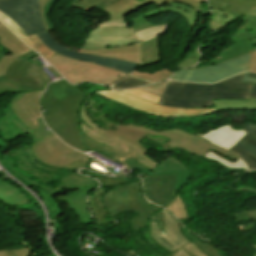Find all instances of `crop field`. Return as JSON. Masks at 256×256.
I'll list each match as a JSON object with an SVG mask.
<instances>
[{"label":"crop field","instance_id":"obj_1","mask_svg":"<svg viewBox=\"0 0 256 256\" xmlns=\"http://www.w3.org/2000/svg\"><path fill=\"white\" fill-rule=\"evenodd\" d=\"M85 94L65 80L48 85L41 99L48 127L68 145L85 152L78 128L77 111Z\"/></svg>","mask_w":256,"mask_h":256},{"label":"crop field","instance_id":"obj_2","mask_svg":"<svg viewBox=\"0 0 256 256\" xmlns=\"http://www.w3.org/2000/svg\"><path fill=\"white\" fill-rule=\"evenodd\" d=\"M95 100L87 97L81 111H80V118L84 121V123L92 128L94 131L99 132L101 134H104L106 136L112 137L114 139H117L119 141H122L135 149L145 153L149 149L142 146L138 142H140L145 136L146 133H149L150 135H162L164 137H167L171 140V142H168L166 145H163L164 148L173 151L172 149L174 147L182 148L192 154L203 156L206 154V152L209 149L215 150L221 154H224L228 156L231 159L237 160L238 157L234 154L230 153L229 151H226L224 149H221L201 138L198 136H194L190 133L178 130V129H172L167 130L163 132H157L154 130L146 129L144 126H136V125H118L116 128L118 130L116 131H109V130H103L102 128L99 129L87 116V113L85 112L84 107H90L92 104H95ZM92 111L96 112L92 106ZM108 125V124H107ZM111 126V125H108ZM108 128V127H107ZM147 137V136H146ZM149 138V137H148ZM152 139V138H151ZM157 141H165L162 139H155ZM161 145V144H160Z\"/></svg>","mask_w":256,"mask_h":256},{"label":"crop field","instance_id":"obj_3","mask_svg":"<svg viewBox=\"0 0 256 256\" xmlns=\"http://www.w3.org/2000/svg\"><path fill=\"white\" fill-rule=\"evenodd\" d=\"M168 0H106L96 8L109 13V20L91 30L81 49H103L136 44L130 23L124 17L152 4L166 5Z\"/></svg>","mask_w":256,"mask_h":256},{"label":"crop field","instance_id":"obj_4","mask_svg":"<svg viewBox=\"0 0 256 256\" xmlns=\"http://www.w3.org/2000/svg\"><path fill=\"white\" fill-rule=\"evenodd\" d=\"M8 166L11 168L13 172H15L13 168V164L11 161H7ZM74 171V169H73ZM17 172V171H16ZM24 180H26L31 187L40 194L42 199L45 201L49 212L50 219L55 218V216H60L63 213L61 206L59 203L52 197L54 195L66 193L64 189L68 190H76L75 194L67 195L63 197L57 198L61 202H67L68 207L70 209H74L76 214L78 215L81 222L86 224L92 223L89 211L86 206V196L91 193L95 188L99 186L98 182L94 179L86 177L84 175H77L74 172L66 174L62 179V186H58L57 189H53V186L44 187L38 182L22 175L17 172Z\"/></svg>","mask_w":256,"mask_h":256},{"label":"crop field","instance_id":"obj_5","mask_svg":"<svg viewBox=\"0 0 256 256\" xmlns=\"http://www.w3.org/2000/svg\"><path fill=\"white\" fill-rule=\"evenodd\" d=\"M253 85L238 83L215 89H184L168 87L159 105L195 108L214 106L213 99L248 100Z\"/></svg>","mask_w":256,"mask_h":256},{"label":"crop field","instance_id":"obj_6","mask_svg":"<svg viewBox=\"0 0 256 256\" xmlns=\"http://www.w3.org/2000/svg\"><path fill=\"white\" fill-rule=\"evenodd\" d=\"M102 201L112 218L129 210L138 212L139 215L130 219L132 228L137 230L148 224L152 215L161 211L158 207L145 200L140 190L139 181L116 187L113 191L109 190Z\"/></svg>","mask_w":256,"mask_h":256},{"label":"crop field","instance_id":"obj_7","mask_svg":"<svg viewBox=\"0 0 256 256\" xmlns=\"http://www.w3.org/2000/svg\"><path fill=\"white\" fill-rule=\"evenodd\" d=\"M47 61L72 84L96 82L108 86L113 81L127 75L105 67L65 58L58 54L48 58Z\"/></svg>","mask_w":256,"mask_h":256},{"label":"crop field","instance_id":"obj_8","mask_svg":"<svg viewBox=\"0 0 256 256\" xmlns=\"http://www.w3.org/2000/svg\"><path fill=\"white\" fill-rule=\"evenodd\" d=\"M31 148L35 157L53 167L80 168L88 160L87 155L67 147L52 132Z\"/></svg>","mask_w":256,"mask_h":256},{"label":"crop field","instance_id":"obj_9","mask_svg":"<svg viewBox=\"0 0 256 256\" xmlns=\"http://www.w3.org/2000/svg\"><path fill=\"white\" fill-rule=\"evenodd\" d=\"M250 58L248 53L211 67L178 70L170 80L216 83L246 71Z\"/></svg>","mask_w":256,"mask_h":256},{"label":"crop field","instance_id":"obj_10","mask_svg":"<svg viewBox=\"0 0 256 256\" xmlns=\"http://www.w3.org/2000/svg\"><path fill=\"white\" fill-rule=\"evenodd\" d=\"M149 225L152 239L171 252L191 242L182 234L176 219L166 210L152 216Z\"/></svg>","mask_w":256,"mask_h":256},{"label":"crop field","instance_id":"obj_11","mask_svg":"<svg viewBox=\"0 0 256 256\" xmlns=\"http://www.w3.org/2000/svg\"><path fill=\"white\" fill-rule=\"evenodd\" d=\"M0 11L15 20L26 35L44 32L39 0H3Z\"/></svg>","mask_w":256,"mask_h":256},{"label":"crop field","instance_id":"obj_12","mask_svg":"<svg viewBox=\"0 0 256 256\" xmlns=\"http://www.w3.org/2000/svg\"><path fill=\"white\" fill-rule=\"evenodd\" d=\"M97 94H100L108 99L115 100L121 104L144 111L147 114L159 117H188L215 112V109H183L158 106L120 91L103 92Z\"/></svg>","mask_w":256,"mask_h":256},{"label":"crop field","instance_id":"obj_13","mask_svg":"<svg viewBox=\"0 0 256 256\" xmlns=\"http://www.w3.org/2000/svg\"><path fill=\"white\" fill-rule=\"evenodd\" d=\"M38 36L50 50L65 57L105 66V67L118 70L127 74H130L131 72H133L136 69V67L139 65L136 63H131L123 60L99 58L91 55L76 53L56 43L49 32L38 34Z\"/></svg>","mask_w":256,"mask_h":256},{"label":"crop field","instance_id":"obj_14","mask_svg":"<svg viewBox=\"0 0 256 256\" xmlns=\"http://www.w3.org/2000/svg\"><path fill=\"white\" fill-rule=\"evenodd\" d=\"M5 76L28 87H45L46 83L51 82L47 73L20 57L10 64Z\"/></svg>","mask_w":256,"mask_h":256},{"label":"crop field","instance_id":"obj_15","mask_svg":"<svg viewBox=\"0 0 256 256\" xmlns=\"http://www.w3.org/2000/svg\"><path fill=\"white\" fill-rule=\"evenodd\" d=\"M173 1L185 3L198 11L200 4L205 0H169L168 5L160 7L158 11L146 14L138 18L136 21H133L131 25L135 32L138 43L150 40L156 36L166 33L170 23L154 27V25H152L145 18L171 11Z\"/></svg>","mask_w":256,"mask_h":256},{"label":"crop field","instance_id":"obj_16","mask_svg":"<svg viewBox=\"0 0 256 256\" xmlns=\"http://www.w3.org/2000/svg\"><path fill=\"white\" fill-rule=\"evenodd\" d=\"M3 111L6 113L7 116L0 118V131H3L4 133V137H0V145L3 142L16 139V137H19L27 132L30 133L31 137L35 141L46 137L51 132L45 131L44 128L46 127L42 119L37 120V128L33 131H30L18 120V118L13 114V112L9 108L4 109Z\"/></svg>","mask_w":256,"mask_h":256},{"label":"crop field","instance_id":"obj_17","mask_svg":"<svg viewBox=\"0 0 256 256\" xmlns=\"http://www.w3.org/2000/svg\"><path fill=\"white\" fill-rule=\"evenodd\" d=\"M10 156L16 157L19 162H16L17 168L23 169L25 172L37 177L47 183L55 174L58 168H46L40 166L43 164L36 159L31 152L30 147H20L9 152Z\"/></svg>","mask_w":256,"mask_h":256},{"label":"crop field","instance_id":"obj_18","mask_svg":"<svg viewBox=\"0 0 256 256\" xmlns=\"http://www.w3.org/2000/svg\"><path fill=\"white\" fill-rule=\"evenodd\" d=\"M80 124H81L82 134H84L85 136L129 156L130 158L145 165L150 170L159 164V163L155 162L154 160L150 159L147 155L138 152L137 150L133 149L132 147H130L122 142H119L117 140L111 139L109 137H106L104 135L94 132L93 130L89 129L82 122L81 119H80Z\"/></svg>","mask_w":256,"mask_h":256},{"label":"crop field","instance_id":"obj_19","mask_svg":"<svg viewBox=\"0 0 256 256\" xmlns=\"http://www.w3.org/2000/svg\"><path fill=\"white\" fill-rule=\"evenodd\" d=\"M175 180L176 175L157 178L153 176L144 179L147 198L165 207L176 195L174 190Z\"/></svg>","mask_w":256,"mask_h":256},{"label":"crop field","instance_id":"obj_20","mask_svg":"<svg viewBox=\"0 0 256 256\" xmlns=\"http://www.w3.org/2000/svg\"><path fill=\"white\" fill-rule=\"evenodd\" d=\"M0 43L5 46L12 55L5 56L0 60V76L5 74L9 64L18 56L31 51L16 36H14L3 24L0 23Z\"/></svg>","mask_w":256,"mask_h":256},{"label":"crop field","instance_id":"obj_21","mask_svg":"<svg viewBox=\"0 0 256 256\" xmlns=\"http://www.w3.org/2000/svg\"><path fill=\"white\" fill-rule=\"evenodd\" d=\"M246 132L244 130L232 129L231 125H224L216 130H210L206 134H197L201 138L218 145L222 148L229 149L234 145Z\"/></svg>","mask_w":256,"mask_h":256},{"label":"crop field","instance_id":"obj_22","mask_svg":"<svg viewBox=\"0 0 256 256\" xmlns=\"http://www.w3.org/2000/svg\"><path fill=\"white\" fill-rule=\"evenodd\" d=\"M79 52L100 57L124 59L137 63H140L141 60V48L139 44L103 50H80Z\"/></svg>","mask_w":256,"mask_h":256},{"label":"crop field","instance_id":"obj_23","mask_svg":"<svg viewBox=\"0 0 256 256\" xmlns=\"http://www.w3.org/2000/svg\"><path fill=\"white\" fill-rule=\"evenodd\" d=\"M229 150L240 156L249 169H256V139L249 134H245Z\"/></svg>","mask_w":256,"mask_h":256},{"label":"crop field","instance_id":"obj_24","mask_svg":"<svg viewBox=\"0 0 256 256\" xmlns=\"http://www.w3.org/2000/svg\"><path fill=\"white\" fill-rule=\"evenodd\" d=\"M0 200L8 206H19L28 204L27 196L19 189L4 181H0Z\"/></svg>","mask_w":256,"mask_h":256},{"label":"crop field","instance_id":"obj_25","mask_svg":"<svg viewBox=\"0 0 256 256\" xmlns=\"http://www.w3.org/2000/svg\"><path fill=\"white\" fill-rule=\"evenodd\" d=\"M41 93L42 91L30 92L17 102V105L19 106L21 112L29 120L36 121V119L40 118L41 116L38 105Z\"/></svg>","mask_w":256,"mask_h":256},{"label":"crop field","instance_id":"obj_26","mask_svg":"<svg viewBox=\"0 0 256 256\" xmlns=\"http://www.w3.org/2000/svg\"><path fill=\"white\" fill-rule=\"evenodd\" d=\"M140 46L142 48L141 67L155 65L160 62L158 37L140 43Z\"/></svg>","mask_w":256,"mask_h":256},{"label":"crop field","instance_id":"obj_27","mask_svg":"<svg viewBox=\"0 0 256 256\" xmlns=\"http://www.w3.org/2000/svg\"><path fill=\"white\" fill-rule=\"evenodd\" d=\"M252 47H253V40H247L241 43H237L232 47H230V49L224 50L220 54V56L214 59L213 61H211L208 66H211L212 64L220 63L222 61L228 60L230 58H233L235 56H238L247 52H252ZM201 67H205V65Z\"/></svg>","mask_w":256,"mask_h":256},{"label":"crop field","instance_id":"obj_28","mask_svg":"<svg viewBox=\"0 0 256 256\" xmlns=\"http://www.w3.org/2000/svg\"><path fill=\"white\" fill-rule=\"evenodd\" d=\"M216 111L223 110H256V99L242 100H214Z\"/></svg>","mask_w":256,"mask_h":256},{"label":"crop field","instance_id":"obj_29","mask_svg":"<svg viewBox=\"0 0 256 256\" xmlns=\"http://www.w3.org/2000/svg\"><path fill=\"white\" fill-rule=\"evenodd\" d=\"M210 7L217 8L223 11L230 12L241 19H245L246 16L249 15L251 10L253 9L252 7H247V6H242V5H237L221 0H208Z\"/></svg>","mask_w":256,"mask_h":256},{"label":"crop field","instance_id":"obj_30","mask_svg":"<svg viewBox=\"0 0 256 256\" xmlns=\"http://www.w3.org/2000/svg\"><path fill=\"white\" fill-rule=\"evenodd\" d=\"M165 163L170 165L178 172L177 181L175 185L176 193H178L183 185L188 184L189 169L183 163L171 158L170 156L167 159H165L160 165H158V167Z\"/></svg>","mask_w":256,"mask_h":256},{"label":"crop field","instance_id":"obj_31","mask_svg":"<svg viewBox=\"0 0 256 256\" xmlns=\"http://www.w3.org/2000/svg\"><path fill=\"white\" fill-rule=\"evenodd\" d=\"M247 19H249L248 23L243 25L241 28H239L235 36L232 37L235 43L241 42L247 39H254V37H256V17L248 16L245 20Z\"/></svg>","mask_w":256,"mask_h":256},{"label":"crop field","instance_id":"obj_32","mask_svg":"<svg viewBox=\"0 0 256 256\" xmlns=\"http://www.w3.org/2000/svg\"><path fill=\"white\" fill-rule=\"evenodd\" d=\"M82 137L84 139V144L87 149H97L101 152H104L106 157L113 159L115 161L123 162L127 158V156L122 155V154H120L108 147H105L99 143H96V142L90 140L89 138L85 137L84 135H82Z\"/></svg>","mask_w":256,"mask_h":256},{"label":"crop field","instance_id":"obj_33","mask_svg":"<svg viewBox=\"0 0 256 256\" xmlns=\"http://www.w3.org/2000/svg\"><path fill=\"white\" fill-rule=\"evenodd\" d=\"M242 75H238L234 78H231L229 80L223 81L218 84H195V83H185V82H175L171 81L169 86H174V87H185V88H215L219 86H224V85H229L233 83H238L241 82Z\"/></svg>","mask_w":256,"mask_h":256},{"label":"crop field","instance_id":"obj_34","mask_svg":"<svg viewBox=\"0 0 256 256\" xmlns=\"http://www.w3.org/2000/svg\"><path fill=\"white\" fill-rule=\"evenodd\" d=\"M181 228L184 235L209 256H225L211 245L203 243L200 238L196 237L191 232L187 231L184 227L181 226Z\"/></svg>","mask_w":256,"mask_h":256},{"label":"crop field","instance_id":"obj_35","mask_svg":"<svg viewBox=\"0 0 256 256\" xmlns=\"http://www.w3.org/2000/svg\"><path fill=\"white\" fill-rule=\"evenodd\" d=\"M45 88H28L8 81L4 76L0 77L1 92H30L44 90Z\"/></svg>","mask_w":256,"mask_h":256},{"label":"crop field","instance_id":"obj_36","mask_svg":"<svg viewBox=\"0 0 256 256\" xmlns=\"http://www.w3.org/2000/svg\"><path fill=\"white\" fill-rule=\"evenodd\" d=\"M172 11L183 15L188 21L190 26L194 25L197 19V16L199 14L197 11H195L191 7L185 4L177 3V2H174Z\"/></svg>","mask_w":256,"mask_h":256},{"label":"crop field","instance_id":"obj_37","mask_svg":"<svg viewBox=\"0 0 256 256\" xmlns=\"http://www.w3.org/2000/svg\"><path fill=\"white\" fill-rule=\"evenodd\" d=\"M0 21L4 23L9 29H11L27 45H29L31 48H33L36 51L32 43L30 42V40L27 38V36L24 34V32L21 30V28L18 26L16 22H14L12 19H10L8 16L4 15L1 12H0Z\"/></svg>","mask_w":256,"mask_h":256},{"label":"crop field","instance_id":"obj_38","mask_svg":"<svg viewBox=\"0 0 256 256\" xmlns=\"http://www.w3.org/2000/svg\"><path fill=\"white\" fill-rule=\"evenodd\" d=\"M55 1L56 0H40V11L46 31H51L55 29L53 23L48 16Z\"/></svg>","mask_w":256,"mask_h":256},{"label":"crop field","instance_id":"obj_39","mask_svg":"<svg viewBox=\"0 0 256 256\" xmlns=\"http://www.w3.org/2000/svg\"><path fill=\"white\" fill-rule=\"evenodd\" d=\"M145 84H150V83L128 75V76L112 83L111 85H109V87L114 90H119V89H124V88L139 86V85H145Z\"/></svg>","mask_w":256,"mask_h":256},{"label":"crop field","instance_id":"obj_40","mask_svg":"<svg viewBox=\"0 0 256 256\" xmlns=\"http://www.w3.org/2000/svg\"><path fill=\"white\" fill-rule=\"evenodd\" d=\"M205 157L211 158V159L217 161L218 163H220L221 165L225 166L228 169H243V168H245L246 170H248L247 166L240 158L235 163H232V162H229V161L223 159L222 156H220L214 152H210V151H208V153L206 154Z\"/></svg>","mask_w":256,"mask_h":256},{"label":"crop field","instance_id":"obj_41","mask_svg":"<svg viewBox=\"0 0 256 256\" xmlns=\"http://www.w3.org/2000/svg\"><path fill=\"white\" fill-rule=\"evenodd\" d=\"M172 213H174L179 219L188 218L185 206L178 194L169 202L166 206Z\"/></svg>","mask_w":256,"mask_h":256},{"label":"crop field","instance_id":"obj_42","mask_svg":"<svg viewBox=\"0 0 256 256\" xmlns=\"http://www.w3.org/2000/svg\"><path fill=\"white\" fill-rule=\"evenodd\" d=\"M27 93H20L18 94L17 96H15L13 98V100L11 101V104H10V108L11 110L15 113V115L19 118V120L24 124L26 125L30 130L34 129L37 125L36 122H33V121H29L27 120L23 114L20 112L18 106L16 105V102L21 98L23 97L24 95H26Z\"/></svg>","mask_w":256,"mask_h":256},{"label":"crop field","instance_id":"obj_43","mask_svg":"<svg viewBox=\"0 0 256 256\" xmlns=\"http://www.w3.org/2000/svg\"><path fill=\"white\" fill-rule=\"evenodd\" d=\"M211 11L213 12V16L211 17L210 20H212L214 22L222 23L226 26H228L229 24L234 23L240 19V18H237L227 12L219 11V10L212 9V8H211Z\"/></svg>","mask_w":256,"mask_h":256},{"label":"crop field","instance_id":"obj_44","mask_svg":"<svg viewBox=\"0 0 256 256\" xmlns=\"http://www.w3.org/2000/svg\"><path fill=\"white\" fill-rule=\"evenodd\" d=\"M169 256H208L204 252H202L197 246H195L192 242L181 247L179 250L174 252Z\"/></svg>","mask_w":256,"mask_h":256},{"label":"crop field","instance_id":"obj_45","mask_svg":"<svg viewBox=\"0 0 256 256\" xmlns=\"http://www.w3.org/2000/svg\"><path fill=\"white\" fill-rule=\"evenodd\" d=\"M121 91H123L125 93H128V94H131V95H134L136 97L145 99L147 101L153 102L155 104H157L159 99L161 98L159 96L153 95L151 93H148V92H146L144 90H141V89H138V88L121 90Z\"/></svg>","mask_w":256,"mask_h":256},{"label":"crop field","instance_id":"obj_46","mask_svg":"<svg viewBox=\"0 0 256 256\" xmlns=\"http://www.w3.org/2000/svg\"><path fill=\"white\" fill-rule=\"evenodd\" d=\"M198 47H194L192 52L189 54V56L186 58L185 61L181 62L178 66V68H186L194 66L200 59L201 55L197 51Z\"/></svg>","mask_w":256,"mask_h":256},{"label":"crop field","instance_id":"obj_47","mask_svg":"<svg viewBox=\"0 0 256 256\" xmlns=\"http://www.w3.org/2000/svg\"><path fill=\"white\" fill-rule=\"evenodd\" d=\"M31 41L34 43L36 46L37 50L39 51L40 55L43 56L44 58H48L51 55L55 54L54 52L50 51L38 38L37 35L30 36L29 37Z\"/></svg>","mask_w":256,"mask_h":256},{"label":"crop field","instance_id":"obj_48","mask_svg":"<svg viewBox=\"0 0 256 256\" xmlns=\"http://www.w3.org/2000/svg\"><path fill=\"white\" fill-rule=\"evenodd\" d=\"M102 1L104 0H75L72 2V6L79 7L88 12Z\"/></svg>","mask_w":256,"mask_h":256},{"label":"crop field","instance_id":"obj_49","mask_svg":"<svg viewBox=\"0 0 256 256\" xmlns=\"http://www.w3.org/2000/svg\"><path fill=\"white\" fill-rule=\"evenodd\" d=\"M169 81H165V82H161V83H157L151 86H145V87H139L141 89H144L146 91H149L153 94L162 96L164 90L166 89L167 85H168Z\"/></svg>","mask_w":256,"mask_h":256},{"label":"crop field","instance_id":"obj_50","mask_svg":"<svg viewBox=\"0 0 256 256\" xmlns=\"http://www.w3.org/2000/svg\"><path fill=\"white\" fill-rule=\"evenodd\" d=\"M124 163H126V164H128V165L134 167V168L137 169V170H140L141 172H143L144 174H146L148 177L154 175L153 172H151L148 168L144 167L143 165H141V164H139V163H137V162H135V161H133V160H131V159H129V158H127V159L124 161ZM134 168H133V169H134Z\"/></svg>","mask_w":256,"mask_h":256},{"label":"crop field","instance_id":"obj_51","mask_svg":"<svg viewBox=\"0 0 256 256\" xmlns=\"http://www.w3.org/2000/svg\"><path fill=\"white\" fill-rule=\"evenodd\" d=\"M152 171L154 172L155 176L177 174V172L174 169H172L170 166L166 164L159 168L156 167Z\"/></svg>","mask_w":256,"mask_h":256},{"label":"crop field","instance_id":"obj_52","mask_svg":"<svg viewBox=\"0 0 256 256\" xmlns=\"http://www.w3.org/2000/svg\"><path fill=\"white\" fill-rule=\"evenodd\" d=\"M242 81L255 84L250 97L256 98V73L246 72Z\"/></svg>","mask_w":256,"mask_h":256},{"label":"crop field","instance_id":"obj_53","mask_svg":"<svg viewBox=\"0 0 256 256\" xmlns=\"http://www.w3.org/2000/svg\"><path fill=\"white\" fill-rule=\"evenodd\" d=\"M131 75L139 77V78H142V79H145V80H148V81H151V82H155V83L163 81L162 79L154 76L153 74H150V73H140L137 70L134 73H132Z\"/></svg>","mask_w":256,"mask_h":256},{"label":"crop field","instance_id":"obj_54","mask_svg":"<svg viewBox=\"0 0 256 256\" xmlns=\"http://www.w3.org/2000/svg\"><path fill=\"white\" fill-rule=\"evenodd\" d=\"M7 251V256H29L30 251L27 248L22 249H9Z\"/></svg>","mask_w":256,"mask_h":256},{"label":"crop field","instance_id":"obj_55","mask_svg":"<svg viewBox=\"0 0 256 256\" xmlns=\"http://www.w3.org/2000/svg\"><path fill=\"white\" fill-rule=\"evenodd\" d=\"M242 5H247V6H252L256 8V0H226ZM251 16H256V9H253L252 12L250 13Z\"/></svg>","mask_w":256,"mask_h":256},{"label":"crop field","instance_id":"obj_56","mask_svg":"<svg viewBox=\"0 0 256 256\" xmlns=\"http://www.w3.org/2000/svg\"><path fill=\"white\" fill-rule=\"evenodd\" d=\"M244 130L256 138V124L245 123Z\"/></svg>","mask_w":256,"mask_h":256},{"label":"crop field","instance_id":"obj_57","mask_svg":"<svg viewBox=\"0 0 256 256\" xmlns=\"http://www.w3.org/2000/svg\"><path fill=\"white\" fill-rule=\"evenodd\" d=\"M173 71H170L168 69L159 71L157 73H154L155 75L159 76L160 78L166 80L168 78H170V76L172 75Z\"/></svg>","mask_w":256,"mask_h":256},{"label":"crop field","instance_id":"obj_58","mask_svg":"<svg viewBox=\"0 0 256 256\" xmlns=\"http://www.w3.org/2000/svg\"><path fill=\"white\" fill-rule=\"evenodd\" d=\"M248 70L256 72V50H253L252 59L250 61Z\"/></svg>","mask_w":256,"mask_h":256},{"label":"crop field","instance_id":"obj_59","mask_svg":"<svg viewBox=\"0 0 256 256\" xmlns=\"http://www.w3.org/2000/svg\"><path fill=\"white\" fill-rule=\"evenodd\" d=\"M88 86H89L88 90L90 93H93L96 91H105V89L102 86L97 84H89Z\"/></svg>","mask_w":256,"mask_h":256},{"label":"crop field","instance_id":"obj_60","mask_svg":"<svg viewBox=\"0 0 256 256\" xmlns=\"http://www.w3.org/2000/svg\"><path fill=\"white\" fill-rule=\"evenodd\" d=\"M143 237L146 239V241H147L149 244H151V245L155 248L156 242L153 241V240L150 238L149 232L144 231ZM155 249H156V248H155ZM157 250H158V249H157ZM158 251H160V250H158ZM160 252L165 253L164 251H160Z\"/></svg>","mask_w":256,"mask_h":256},{"label":"crop field","instance_id":"obj_61","mask_svg":"<svg viewBox=\"0 0 256 256\" xmlns=\"http://www.w3.org/2000/svg\"><path fill=\"white\" fill-rule=\"evenodd\" d=\"M210 27H211L214 31H218V30L224 28L225 26L210 21Z\"/></svg>","mask_w":256,"mask_h":256},{"label":"crop field","instance_id":"obj_62","mask_svg":"<svg viewBox=\"0 0 256 256\" xmlns=\"http://www.w3.org/2000/svg\"><path fill=\"white\" fill-rule=\"evenodd\" d=\"M200 13H202V14H210L207 3H204V4L201 6V8H200Z\"/></svg>","mask_w":256,"mask_h":256},{"label":"crop field","instance_id":"obj_63","mask_svg":"<svg viewBox=\"0 0 256 256\" xmlns=\"http://www.w3.org/2000/svg\"><path fill=\"white\" fill-rule=\"evenodd\" d=\"M35 55H38V54H36V53H34L33 51H31V52H29V53H27V54H25V55H23V56H21V57H23V58H25V59H28V58H30V57H32V56H35Z\"/></svg>","mask_w":256,"mask_h":256},{"label":"crop field","instance_id":"obj_64","mask_svg":"<svg viewBox=\"0 0 256 256\" xmlns=\"http://www.w3.org/2000/svg\"><path fill=\"white\" fill-rule=\"evenodd\" d=\"M136 239H137L140 243L146 244L145 241L142 240L141 236L137 237Z\"/></svg>","mask_w":256,"mask_h":256},{"label":"crop field","instance_id":"obj_65","mask_svg":"<svg viewBox=\"0 0 256 256\" xmlns=\"http://www.w3.org/2000/svg\"><path fill=\"white\" fill-rule=\"evenodd\" d=\"M4 55H6V53H5L4 51H0V59H1Z\"/></svg>","mask_w":256,"mask_h":256},{"label":"crop field","instance_id":"obj_66","mask_svg":"<svg viewBox=\"0 0 256 256\" xmlns=\"http://www.w3.org/2000/svg\"><path fill=\"white\" fill-rule=\"evenodd\" d=\"M0 256H6V252L0 251Z\"/></svg>","mask_w":256,"mask_h":256},{"label":"crop field","instance_id":"obj_67","mask_svg":"<svg viewBox=\"0 0 256 256\" xmlns=\"http://www.w3.org/2000/svg\"><path fill=\"white\" fill-rule=\"evenodd\" d=\"M0 48L2 49V50H4V51H8L5 47H3L1 44H0Z\"/></svg>","mask_w":256,"mask_h":256},{"label":"crop field","instance_id":"obj_68","mask_svg":"<svg viewBox=\"0 0 256 256\" xmlns=\"http://www.w3.org/2000/svg\"><path fill=\"white\" fill-rule=\"evenodd\" d=\"M92 162H94L93 160H91V163ZM90 164V163H89ZM97 164V163H96ZM99 165V164H98ZM90 167V166H89ZM91 168V167H90ZM93 169V168H92ZM93 170H95V169H93ZM106 170V169H105ZM95 171H97V170H95ZM97 172H100V171H97ZM100 173H103V172H100ZM103 174H105V173H103ZM107 175V174H106Z\"/></svg>","mask_w":256,"mask_h":256},{"label":"crop field","instance_id":"obj_69","mask_svg":"<svg viewBox=\"0 0 256 256\" xmlns=\"http://www.w3.org/2000/svg\"><path fill=\"white\" fill-rule=\"evenodd\" d=\"M253 49H256V42H254V48Z\"/></svg>","mask_w":256,"mask_h":256},{"label":"crop field","instance_id":"obj_70","mask_svg":"<svg viewBox=\"0 0 256 256\" xmlns=\"http://www.w3.org/2000/svg\"><path fill=\"white\" fill-rule=\"evenodd\" d=\"M2 94H4V93H1V92H0V96H1Z\"/></svg>","mask_w":256,"mask_h":256},{"label":"crop field","instance_id":"obj_71","mask_svg":"<svg viewBox=\"0 0 256 256\" xmlns=\"http://www.w3.org/2000/svg\"><path fill=\"white\" fill-rule=\"evenodd\" d=\"M138 2L142 1V0H137Z\"/></svg>","mask_w":256,"mask_h":256},{"label":"crop field","instance_id":"obj_72","mask_svg":"<svg viewBox=\"0 0 256 256\" xmlns=\"http://www.w3.org/2000/svg\"><path fill=\"white\" fill-rule=\"evenodd\" d=\"M255 41H256V38H255Z\"/></svg>","mask_w":256,"mask_h":256},{"label":"crop field","instance_id":"obj_73","mask_svg":"<svg viewBox=\"0 0 256 256\" xmlns=\"http://www.w3.org/2000/svg\"><path fill=\"white\" fill-rule=\"evenodd\" d=\"M1 50V49H0Z\"/></svg>","mask_w":256,"mask_h":256}]
</instances>
